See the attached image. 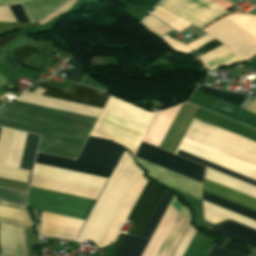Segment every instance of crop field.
<instances>
[{"label":"crop field","mask_w":256,"mask_h":256,"mask_svg":"<svg viewBox=\"0 0 256 256\" xmlns=\"http://www.w3.org/2000/svg\"><path fill=\"white\" fill-rule=\"evenodd\" d=\"M163 193V189L148 181L128 218L133 222L128 233L140 236Z\"/></svg>","instance_id":"14"},{"label":"crop field","mask_w":256,"mask_h":256,"mask_svg":"<svg viewBox=\"0 0 256 256\" xmlns=\"http://www.w3.org/2000/svg\"><path fill=\"white\" fill-rule=\"evenodd\" d=\"M170 194L165 191L158 206L156 207V209H155L154 213L152 214L150 220L148 221L145 229L143 230L141 237L150 239L154 229L156 228L160 218L162 217L166 207L168 206V204L172 198V195H170Z\"/></svg>","instance_id":"26"},{"label":"crop field","mask_w":256,"mask_h":256,"mask_svg":"<svg viewBox=\"0 0 256 256\" xmlns=\"http://www.w3.org/2000/svg\"><path fill=\"white\" fill-rule=\"evenodd\" d=\"M142 25L158 37L172 30L149 14L143 20Z\"/></svg>","instance_id":"31"},{"label":"crop field","mask_w":256,"mask_h":256,"mask_svg":"<svg viewBox=\"0 0 256 256\" xmlns=\"http://www.w3.org/2000/svg\"><path fill=\"white\" fill-rule=\"evenodd\" d=\"M197 90L207 93L216 98H220V99L227 101L231 104H234L238 107H240V105L246 98L245 96H240V95H235V94H231V93H227V92H223V91H218V90H215L212 88H208L206 86H199L197 88Z\"/></svg>","instance_id":"29"},{"label":"crop field","mask_w":256,"mask_h":256,"mask_svg":"<svg viewBox=\"0 0 256 256\" xmlns=\"http://www.w3.org/2000/svg\"><path fill=\"white\" fill-rule=\"evenodd\" d=\"M195 229L192 227V225L190 224L187 232L185 233L181 243L179 244L176 252L174 253L173 256H183L188 244L190 243L194 233H195Z\"/></svg>","instance_id":"33"},{"label":"crop field","mask_w":256,"mask_h":256,"mask_svg":"<svg viewBox=\"0 0 256 256\" xmlns=\"http://www.w3.org/2000/svg\"><path fill=\"white\" fill-rule=\"evenodd\" d=\"M24 195L22 193L0 189V204L26 210L23 204ZM10 207L0 206V221L30 228L32 222L27 212Z\"/></svg>","instance_id":"18"},{"label":"crop field","mask_w":256,"mask_h":256,"mask_svg":"<svg viewBox=\"0 0 256 256\" xmlns=\"http://www.w3.org/2000/svg\"><path fill=\"white\" fill-rule=\"evenodd\" d=\"M13 56L20 62L26 61L33 53L29 46L12 52Z\"/></svg>","instance_id":"35"},{"label":"crop field","mask_w":256,"mask_h":256,"mask_svg":"<svg viewBox=\"0 0 256 256\" xmlns=\"http://www.w3.org/2000/svg\"><path fill=\"white\" fill-rule=\"evenodd\" d=\"M151 14H153L158 19H160L161 21H163L168 26H170L178 32L182 31L183 29L191 25L158 6L154 9V11Z\"/></svg>","instance_id":"28"},{"label":"crop field","mask_w":256,"mask_h":256,"mask_svg":"<svg viewBox=\"0 0 256 256\" xmlns=\"http://www.w3.org/2000/svg\"><path fill=\"white\" fill-rule=\"evenodd\" d=\"M144 183L142 171L125 150L77 241L89 239L98 247L114 241Z\"/></svg>","instance_id":"2"},{"label":"crop field","mask_w":256,"mask_h":256,"mask_svg":"<svg viewBox=\"0 0 256 256\" xmlns=\"http://www.w3.org/2000/svg\"><path fill=\"white\" fill-rule=\"evenodd\" d=\"M205 177L208 179H211L213 181L219 182L221 184H224L226 186H229L233 189H236L238 191H241L245 194H248L250 196H253L256 198V188L253 186H250L248 184H245L243 182H240L236 179H233L231 177H228L226 175H223L221 173H218L214 170H211L209 168H206V174ZM204 180L203 189L211 192L213 194H216L220 197H223L227 200H230L234 203H237L239 205H242L246 208H249L251 210L256 211V199L253 197H250L248 195H245L241 192H238L236 190H233L229 187H226L224 185H221L219 183L213 182L211 180L206 179ZM203 190V200L206 202H209L211 204H214L216 206H219L221 208H224L226 210H229L231 212H234L236 214H239L241 216H244L246 218H249L251 220L256 221V212L251 211L249 209H246L242 206H239L237 204H234L230 201H227L223 198H220L216 195H213L211 193H208ZM203 201V208L209 211H212L214 213H217L219 215L225 216L227 218H230L232 220H235L237 222H240L242 224H245L247 226H250L252 228L256 229V222L251 221L249 219H246L244 217H241L239 215H236L234 213H231L229 211H226L224 209H221L219 207H216L214 205H211L209 203H206ZM203 209L204 219L216 224L220 221H223L227 218L219 216L217 214H214L212 212L206 211Z\"/></svg>","instance_id":"4"},{"label":"crop field","mask_w":256,"mask_h":256,"mask_svg":"<svg viewBox=\"0 0 256 256\" xmlns=\"http://www.w3.org/2000/svg\"><path fill=\"white\" fill-rule=\"evenodd\" d=\"M123 237H124V234H119V236H118L116 242L114 243V245H113V247H112L108 256H113L115 254V252H116L118 246L120 245Z\"/></svg>","instance_id":"42"},{"label":"crop field","mask_w":256,"mask_h":256,"mask_svg":"<svg viewBox=\"0 0 256 256\" xmlns=\"http://www.w3.org/2000/svg\"><path fill=\"white\" fill-rule=\"evenodd\" d=\"M243 58L256 53V16L231 14L204 30Z\"/></svg>","instance_id":"8"},{"label":"crop field","mask_w":256,"mask_h":256,"mask_svg":"<svg viewBox=\"0 0 256 256\" xmlns=\"http://www.w3.org/2000/svg\"><path fill=\"white\" fill-rule=\"evenodd\" d=\"M158 5L200 29L229 13L207 0H162Z\"/></svg>","instance_id":"11"},{"label":"crop field","mask_w":256,"mask_h":256,"mask_svg":"<svg viewBox=\"0 0 256 256\" xmlns=\"http://www.w3.org/2000/svg\"><path fill=\"white\" fill-rule=\"evenodd\" d=\"M68 62L76 67L75 70L70 72V79L79 82L82 75V68L73 60V58Z\"/></svg>","instance_id":"38"},{"label":"crop field","mask_w":256,"mask_h":256,"mask_svg":"<svg viewBox=\"0 0 256 256\" xmlns=\"http://www.w3.org/2000/svg\"><path fill=\"white\" fill-rule=\"evenodd\" d=\"M37 165L52 167L56 169L86 174L90 176L100 177L108 179L112 169L102 166L92 165L88 163L78 162L74 160L64 159L60 157L50 156L46 154L38 153L36 163ZM34 167L35 176L47 177L60 181L80 184L84 186L94 187L102 189L105 184V179L90 177L86 175L56 170L52 168L37 166ZM47 178L32 177V187L51 190L55 192L70 194L74 196L84 197L88 199L96 200L100 190L84 187L80 185L60 182Z\"/></svg>","instance_id":"3"},{"label":"crop field","mask_w":256,"mask_h":256,"mask_svg":"<svg viewBox=\"0 0 256 256\" xmlns=\"http://www.w3.org/2000/svg\"><path fill=\"white\" fill-rule=\"evenodd\" d=\"M84 221L42 212L41 234L75 239Z\"/></svg>","instance_id":"19"},{"label":"crop field","mask_w":256,"mask_h":256,"mask_svg":"<svg viewBox=\"0 0 256 256\" xmlns=\"http://www.w3.org/2000/svg\"><path fill=\"white\" fill-rule=\"evenodd\" d=\"M0 241L2 255L27 256L25 249L24 228L9 226L1 223Z\"/></svg>","instance_id":"20"},{"label":"crop field","mask_w":256,"mask_h":256,"mask_svg":"<svg viewBox=\"0 0 256 256\" xmlns=\"http://www.w3.org/2000/svg\"><path fill=\"white\" fill-rule=\"evenodd\" d=\"M19 34H21L20 31L16 32V33H13V34L3 36L2 38H0V47L2 48L3 46H5L7 43H9L11 40H13Z\"/></svg>","instance_id":"41"},{"label":"crop field","mask_w":256,"mask_h":256,"mask_svg":"<svg viewBox=\"0 0 256 256\" xmlns=\"http://www.w3.org/2000/svg\"><path fill=\"white\" fill-rule=\"evenodd\" d=\"M179 106L180 105H177V106L171 107L169 109L158 112L144 141H146L154 146L159 147V145H160L169 125L171 124ZM179 148L189 151L191 153H194L198 156H201L203 158H206L208 160H211L213 162H216L218 164H221L223 166H226L230 169H233L235 171H238L240 173H243L245 175H248V176L256 179V165H254V164H251V163L241 160L239 158L233 157L231 155H228V154L218 151L216 149L210 148V147L200 144L198 142L192 141L185 137L181 141ZM179 148L176 151V154H178V155H181L183 157H186L188 159H191L193 161H196L198 163H201L203 165H206L208 167H211L213 169H216L218 171H221L223 173H226L228 175H231L233 177H236L240 180H243L245 182H248V183L256 186V180L253 178H250L248 176H245L243 174H240L238 172L230 170L226 167H223L221 165H218L216 163H213L211 161H208L206 159L198 157L194 154H191V153L181 150Z\"/></svg>","instance_id":"6"},{"label":"crop field","mask_w":256,"mask_h":256,"mask_svg":"<svg viewBox=\"0 0 256 256\" xmlns=\"http://www.w3.org/2000/svg\"><path fill=\"white\" fill-rule=\"evenodd\" d=\"M8 86L9 88L13 87L12 83L9 81V79L3 75L0 74V96L7 93L6 91H4L2 88ZM2 97V96H1ZM0 97V99H1ZM3 105L0 103V106Z\"/></svg>","instance_id":"40"},{"label":"crop field","mask_w":256,"mask_h":256,"mask_svg":"<svg viewBox=\"0 0 256 256\" xmlns=\"http://www.w3.org/2000/svg\"><path fill=\"white\" fill-rule=\"evenodd\" d=\"M187 225L169 204L142 256H171Z\"/></svg>","instance_id":"10"},{"label":"crop field","mask_w":256,"mask_h":256,"mask_svg":"<svg viewBox=\"0 0 256 256\" xmlns=\"http://www.w3.org/2000/svg\"><path fill=\"white\" fill-rule=\"evenodd\" d=\"M247 110L256 113V101L250 102Z\"/></svg>","instance_id":"45"},{"label":"crop field","mask_w":256,"mask_h":256,"mask_svg":"<svg viewBox=\"0 0 256 256\" xmlns=\"http://www.w3.org/2000/svg\"><path fill=\"white\" fill-rule=\"evenodd\" d=\"M0 72L15 76L1 60H0Z\"/></svg>","instance_id":"43"},{"label":"crop field","mask_w":256,"mask_h":256,"mask_svg":"<svg viewBox=\"0 0 256 256\" xmlns=\"http://www.w3.org/2000/svg\"><path fill=\"white\" fill-rule=\"evenodd\" d=\"M121 1L153 8L158 3L159 0H121Z\"/></svg>","instance_id":"37"},{"label":"crop field","mask_w":256,"mask_h":256,"mask_svg":"<svg viewBox=\"0 0 256 256\" xmlns=\"http://www.w3.org/2000/svg\"><path fill=\"white\" fill-rule=\"evenodd\" d=\"M96 119L12 101L0 108V126L41 135L39 151L75 159Z\"/></svg>","instance_id":"1"},{"label":"crop field","mask_w":256,"mask_h":256,"mask_svg":"<svg viewBox=\"0 0 256 256\" xmlns=\"http://www.w3.org/2000/svg\"><path fill=\"white\" fill-rule=\"evenodd\" d=\"M76 0H68L64 5H62L59 9L56 11L52 12L48 17H46L44 20L38 22L40 25L54 19L55 17L59 16L66 10H68L75 2Z\"/></svg>","instance_id":"34"},{"label":"crop field","mask_w":256,"mask_h":256,"mask_svg":"<svg viewBox=\"0 0 256 256\" xmlns=\"http://www.w3.org/2000/svg\"><path fill=\"white\" fill-rule=\"evenodd\" d=\"M1 130L2 128H0V134ZM12 133V130L4 128L2 130V135L0 139V177L2 178L4 175L5 164L9 153ZM30 173L31 172L29 171L6 166L4 178L28 183Z\"/></svg>","instance_id":"22"},{"label":"crop field","mask_w":256,"mask_h":256,"mask_svg":"<svg viewBox=\"0 0 256 256\" xmlns=\"http://www.w3.org/2000/svg\"><path fill=\"white\" fill-rule=\"evenodd\" d=\"M161 38H163L165 40V42L168 43L170 46H172L174 49H176L178 51H181V52H185V53H187V52L191 51L192 49H194V48H196V47L214 39L210 35L207 34L204 37H202V38L184 46L185 44L182 45L183 43L180 44L179 42L169 38L167 35H165Z\"/></svg>","instance_id":"30"},{"label":"crop field","mask_w":256,"mask_h":256,"mask_svg":"<svg viewBox=\"0 0 256 256\" xmlns=\"http://www.w3.org/2000/svg\"><path fill=\"white\" fill-rule=\"evenodd\" d=\"M32 43H34L33 40H31L28 37H26V36L21 34L20 36H18L16 39H14L12 42L7 44L3 48H5L8 51L12 52L14 50H17L19 48L25 47V46L30 45Z\"/></svg>","instance_id":"32"},{"label":"crop field","mask_w":256,"mask_h":256,"mask_svg":"<svg viewBox=\"0 0 256 256\" xmlns=\"http://www.w3.org/2000/svg\"><path fill=\"white\" fill-rule=\"evenodd\" d=\"M148 241L125 235L115 256H141Z\"/></svg>","instance_id":"25"},{"label":"crop field","mask_w":256,"mask_h":256,"mask_svg":"<svg viewBox=\"0 0 256 256\" xmlns=\"http://www.w3.org/2000/svg\"><path fill=\"white\" fill-rule=\"evenodd\" d=\"M4 60L11 66L13 67L15 70L17 69V67L19 65H17L13 60H11L8 55L6 57H4Z\"/></svg>","instance_id":"44"},{"label":"crop field","mask_w":256,"mask_h":256,"mask_svg":"<svg viewBox=\"0 0 256 256\" xmlns=\"http://www.w3.org/2000/svg\"><path fill=\"white\" fill-rule=\"evenodd\" d=\"M43 92L44 90L37 87L34 92L29 93L26 91L16 100L44 107L54 108L58 110L68 111L72 113H77L81 115L91 116L95 118L98 117L101 111V109L99 108L89 107L85 105L40 96Z\"/></svg>","instance_id":"17"},{"label":"crop field","mask_w":256,"mask_h":256,"mask_svg":"<svg viewBox=\"0 0 256 256\" xmlns=\"http://www.w3.org/2000/svg\"><path fill=\"white\" fill-rule=\"evenodd\" d=\"M135 156L202 183L205 167L150 144L142 142Z\"/></svg>","instance_id":"12"},{"label":"crop field","mask_w":256,"mask_h":256,"mask_svg":"<svg viewBox=\"0 0 256 256\" xmlns=\"http://www.w3.org/2000/svg\"><path fill=\"white\" fill-rule=\"evenodd\" d=\"M81 84H85V85H88V86H91V87H95V88H98V89H101V90H104L106 92H109L108 89H106L104 86H100L98 83H96L92 78H90L88 75L84 74V76L82 77L81 81H80Z\"/></svg>","instance_id":"39"},{"label":"crop field","mask_w":256,"mask_h":256,"mask_svg":"<svg viewBox=\"0 0 256 256\" xmlns=\"http://www.w3.org/2000/svg\"><path fill=\"white\" fill-rule=\"evenodd\" d=\"M153 116L110 97L91 135L120 143L133 155Z\"/></svg>","instance_id":"7"},{"label":"crop field","mask_w":256,"mask_h":256,"mask_svg":"<svg viewBox=\"0 0 256 256\" xmlns=\"http://www.w3.org/2000/svg\"><path fill=\"white\" fill-rule=\"evenodd\" d=\"M214 240L196 231L184 256H206Z\"/></svg>","instance_id":"27"},{"label":"crop field","mask_w":256,"mask_h":256,"mask_svg":"<svg viewBox=\"0 0 256 256\" xmlns=\"http://www.w3.org/2000/svg\"><path fill=\"white\" fill-rule=\"evenodd\" d=\"M67 0H0V7L20 3L29 22H37Z\"/></svg>","instance_id":"21"},{"label":"crop field","mask_w":256,"mask_h":256,"mask_svg":"<svg viewBox=\"0 0 256 256\" xmlns=\"http://www.w3.org/2000/svg\"><path fill=\"white\" fill-rule=\"evenodd\" d=\"M124 150L112 141L89 136L78 160L115 168Z\"/></svg>","instance_id":"13"},{"label":"crop field","mask_w":256,"mask_h":256,"mask_svg":"<svg viewBox=\"0 0 256 256\" xmlns=\"http://www.w3.org/2000/svg\"><path fill=\"white\" fill-rule=\"evenodd\" d=\"M199 58L205 65L207 71L215 67L229 65L243 59L223 45Z\"/></svg>","instance_id":"24"},{"label":"crop field","mask_w":256,"mask_h":256,"mask_svg":"<svg viewBox=\"0 0 256 256\" xmlns=\"http://www.w3.org/2000/svg\"><path fill=\"white\" fill-rule=\"evenodd\" d=\"M38 87L46 90L42 94L43 96H48L52 98L62 99L66 101L76 102L100 108H103L105 102L109 97V95L104 92L90 89L82 85H77L73 95L60 91L45 83L39 85Z\"/></svg>","instance_id":"16"},{"label":"crop field","mask_w":256,"mask_h":256,"mask_svg":"<svg viewBox=\"0 0 256 256\" xmlns=\"http://www.w3.org/2000/svg\"><path fill=\"white\" fill-rule=\"evenodd\" d=\"M25 135L26 133L14 131L6 165L18 168ZM38 141L37 135L27 133L19 168L31 171Z\"/></svg>","instance_id":"15"},{"label":"crop field","mask_w":256,"mask_h":256,"mask_svg":"<svg viewBox=\"0 0 256 256\" xmlns=\"http://www.w3.org/2000/svg\"><path fill=\"white\" fill-rule=\"evenodd\" d=\"M222 44H220L218 41H216L215 39L194 49L196 51V53L198 54V57L209 52L210 50L220 46Z\"/></svg>","instance_id":"36"},{"label":"crop field","mask_w":256,"mask_h":256,"mask_svg":"<svg viewBox=\"0 0 256 256\" xmlns=\"http://www.w3.org/2000/svg\"><path fill=\"white\" fill-rule=\"evenodd\" d=\"M209 111L256 129V114L217 100Z\"/></svg>","instance_id":"23"},{"label":"crop field","mask_w":256,"mask_h":256,"mask_svg":"<svg viewBox=\"0 0 256 256\" xmlns=\"http://www.w3.org/2000/svg\"><path fill=\"white\" fill-rule=\"evenodd\" d=\"M195 118L256 141V131L199 108ZM193 119L185 137L256 164V142Z\"/></svg>","instance_id":"5"},{"label":"crop field","mask_w":256,"mask_h":256,"mask_svg":"<svg viewBox=\"0 0 256 256\" xmlns=\"http://www.w3.org/2000/svg\"><path fill=\"white\" fill-rule=\"evenodd\" d=\"M96 202V201H95ZM94 201L30 187V208L85 220Z\"/></svg>","instance_id":"9"},{"label":"crop field","mask_w":256,"mask_h":256,"mask_svg":"<svg viewBox=\"0 0 256 256\" xmlns=\"http://www.w3.org/2000/svg\"><path fill=\"white\" fill-rule=\"evenodd\" d=\"M8 54L5 50L0 49V58Z\"/></svg>","instance_id":"46"}]
</instances>
